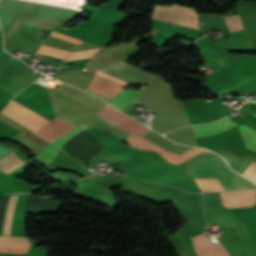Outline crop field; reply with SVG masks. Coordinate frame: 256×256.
I'll list each match as a JSON object with an SVG mask.
<instances>
[{
  "instance_id": "20",
  "label": "crop field",
  "mask_w": 256,
  "mask_h": 256,
  "mask_svg": "<svg viewBox=\"0 0 256 256\" xmlns=\"http://www.w3.org/2000/svg\"><path fill=\"white\" fill-rule=\"evenodd\" d=\"M244 176L256 182V164L252 163L251 166L248 168V170L245 172Z\"/></svg>"
},
{
  "instance_id": "23",
  "label": "crop field",
  "mask_w": 256,
  "mask_h": 256,
  "mask_svg": "<svg viewBox=\"0 0 256 256\" xmlns=\"http://www.w3.org/2000/svg\"><path fill=\"white\" fill-rule=\"evenodd\" d=\"M230 31L240 30L236 19H227Z\"/></svg>"
},
{
  "instance_id": "17",
  "label": "crop field",
  "mask_w": 256,
  "mask_h": 256,
  "mask_svg": "<svg viewBox=\"0 0 256 256\" xmlns=\"http://www.w3.org/2000/svg\"><path fill=\"white\" fill-rule=\"evenodd\" d=\"M60 148L54 146V145H49L46 149H44L39 155L38 157L45 159L49 162H51L53 160V158L55 157V155L57 154V152L59 151Z\"/></svg>"
},
{
  "instance_id": "18",
  "label": "crop field",
  "mask_w": 256,
  "mask_h": 256,
  "mask_svg": "<svg viewBox=\"0 0 256 256\" xmlns=\"http://www.w3.org/2000/svg\"><path fill=\"white\" fill-rule=\"evenodd\" d=\"M85 128H87V127L84 124H81V125L77 126L76 128H74L73 130H71L66 135L58 138L57 140H55L52 143H54V144H56V145L61 147L70 137H72L73 135L79 133L80 131H82Z\"/></svg>"
},
{
  "instance_id": "7",
  "label": "crop field",
  "mask_w": 256,
  "mask_h": 256,
  "mask_svg": "<svg viewBox=\"0 0 256 256\" xmlns=\"http://www.w3.org/2000/svg\"><path fill=\"white\" fill-rule=\"evenodd\" d=\"M192 239L198 256H228V253L219 242L214 243L204 233Z\"/></svg>"
},
{
  "instance_id": "5",
  "label": "crop field",
  "mask_w": 256,
  "mask_h": 256,
  "mask_svg": "<svg viewBox=\"0 0 256 256\" xmlns=\"http://www.w3.org/2000/svg\"><path fill=\"white\" fill-rule=\"evenodd\" d=\"M102 71L128 84H150L156 77L155 75L136 69L128 64L118 68L105 69Z\"/></svg>"
},
{
  "instance_id": "9",
  "label": "crop field",
  "mask_w": 256,
  "mask_h": 256,
  "mask_svg": "<svg viewBox=\"0 0 256 256\" xmlns=\"http://www.w3.org/2000/svg\"><path fill=\"white\" fill-rule=\"evenodd\" d=\"M5 237V236H0ZM0 242L29 243L26 238L7 237L0 238ZM30 244L0 243V252L27 254Z\"/></svg>"
},
{
  "instance_id": "15",
  "label": "crop field",
  "mask_w": 256,
  "mask_h": 256,
  "mask_svg": "<svg viewBox=\"0 0 256 256\" xmlns=\"http://www.w3.org/2000/svg\"><path fill=\"white\" fill-rule=\"evenodd\" d=\"M39 54H44L48 56L58 57L62 59H66V57L71 53L70 51L61 50L53 47H48L42 45L39 52Z\"/></svg>"
},
{
  "instance_id": "11",
  "label": "crop field",
  "mask_w": 256,
  "mask_h": 256,
  "mask_svg": "<svg viewBox=\"0 0 256 256\" xmlns=\"http://www.w3.org/2000/svg\"><path fill=\"white\" fill-rule=\"evenodd\" d=\"M24 162L26 161L18 158L15 151H12L10 154L0 159V170L8 174Z\"/></svg>"
},
{
  "instance_id": "14",
  "label": "crop field",
  "mask_w": 256,
  "mask_h": 256,
  "mask_svg": "<svg viewBox=\"0 0 256 256\" xmlns=\"http://www.w3.org/2000/svg\"><path fill=\"white\" fill-rule=\"evenodd\" d=\"M15 197H16V195H13V196H10V198H9V203H8V208H7V213H6V218H5L2 235H9V233H10Z\"/></svg>"
},
{
  "instance_id": "22",
  "label": "crop field",
  "mask_w": 256,
  "mask_h": 256,
  "mask_svg": "<svg viewBox=\"0 0 256 256\" xmlns=\"http://www.w3.org/2000/svg\"><path fill=\"white\" fill-rule=\"evenodd\" d=\"M224 47L244 46L241 39L222 42Z\"/></svg>"
},
{
  "instance_id": "24",
  "label": "crop field",
  "mask_w": 256,
  "mask_h": 256,
  "mask_svg": "<svg viewBox=\"0 0 256 256\" xmlns=\"http://www.w3.org/2000/svg\"><path fill=\"white\" fill-rule=\"evenodd\" d=\"M0 30H1V28H0Z\"/></svg>"
},
{
  "instance_id": "4",
  "label": "crop field",
  "mask_w": 256,
  "mask_h": 256,
  "mask_svg": "<svg viewBox=\"0 0 256 256\" xmlns=\"http://www.w3.org/2000/svg\"><path fill=\"white\" fill-rule=\"evenodd\" d=\"M126 141L130 145L138 147V148L157 151L167 161L174 162V163L186 160V159H188L190 157H193V156H195L197 154H200V153L209 152L208 150H203V149H199V148L194 147V148L190 149L189 151H187L186 153H184L182 155H179V154L169 152V151L155 145L154 143L144 139L141 136L131 135L130 138Z\"/></svg>"
},
{
  "instance_id": "16",
  "label": "crop field",
  "mask_w": 256,
  "mask_h": 256,
  "mask_svg": "<svg viewBox=\"0 0 256 256\" xmlns=\"http://www.w3.org/2000/svg\"><path fill=\"white\" fill-rule=\"evenodd\" d=\"M124 62L116 61V62H108V63H87L83 70H101L109 67H117L123 65Z\"/></svg>"
},
{
  "instance_id": "21",
  "label": "crop field",
  "mask_w": 256,
  "mask_h": 256,
  "mask_svg": "<svg viewBox=\"0 0 256 256\" xmlns=\"http://www.w3.org/2000/svg\"><path fill=\"white\" fill-rule=\"evenodd\" d=\"M51 35H54V36H57V37H60V38L78 43V44H80L82 42V40H79V39H76V38H73V37H70V36H66V35H63V34H60V33L54 32V31H52Z\"/></svg>"
},
{
  "instance_id": "12",
  "label": "crop field",
  "mask_w": 256,
  "mask_h": 256,
  "mask_svg": "<svg viewBox=\"0 0 256 256\" xmlns=\"http://www.w3.org/2000/svg\"><path fill=\"white\" fill-rule=\"evenodd\" d=\"M239 128L244 139L245 147L256 151V131L245 125H240Z\"/></svg>"
},
{
  "instance_id": "6",
  "label": "crop field",
  "mask_w": 256,
  "mask_h": 256,
  "mask_svg": "<svg viewBox=\"0 0 256 256\" xmlns=\"http://www.w3.org/2000/svg\"><path fill=\"white\" fill-rule=\"evenodd\" d=\"M222 205L227 208L256 206V189L222 192Z\"/></svg>"
},
{
  "instance_id": "1",
  "label": "crop field",
  "mask_w": 256,
  "mask_h": 256,
  "mask_svg": "<svg viewBox=\"0 0 256 256\" xmlns=\"http://www.w3.org/2000/svg\"><path fill=\"white\" fill-rule=\"evenodd\" d=\"M189 167L193 178L218 179L225 190L256 188V185L230 171L225 162L217 157L204 159Z\"/></svg>"
},
{
  "instance_id": "3",
  "label": "crop field",
  "mask_w": 256,
  "mask_h": 256,
  "mask_svg": "<svg viewBox=\"0 0 256 256\" xmlns=\"http://www.w3.org/2000/svg\"><path fill=\"white\" fill-rule=\"evenodd\" d=\"M1 113L26 126L34 132L49 122L42 116L35 114L34 112L12 100Z\"/></svg>"
},
{
  "instance_id": "13",
  "label": "crop field",
  "mask_w": 256,
  "mask_h": 256,
  "mask_svg": "<svg viewBox=\"0 0 256 256\" xmlns=\"http://www.w3.org/2000/svg\"><path fill=\"white\" fill-rule=\"evenodd\" d=\"M202 191H222V187L214 179H195Z\"/></svg>"
},
{
  "instance_id": "2",
  "label": "crop field",
  "mask_w": 256,
  "mask_h": 256,
  "mask_svg": "<svg viewBox=\"0 0 256 256\" xmlns=\"http://www.w3.org/2000/svg\"><path fill=\"white\" fill-rule=\"evenodd\" d=\"M152 18L199 29V20L196 11L175 4L155 6Z\"/></svg>"
},
{
  "instance_id": "19",
  "label": "crop field",
  "mask_w": 256,
  "mask_h": 256,
  "mask_svg": "<svg viewBox=\"0 0 256 256\" xmlns=\"http://www.w3.org/2000/svg\"><path fill=\"white\" fill-rule=\"evenodd\" d=\"M98 49L99 48L73 52L72 55L66 61L92 57Z\"/></svg>"
},
{
  "instance_id": "8",
  "label": "crop field",
  "mask_w": 256,
  "mask_h": 256,
  "mask_svg": "<svg viewBox=\"0 0 256 256\" xmlns=\"http://www.w3.org/2000/svg\"><path fill=\"white\" fill-rule=\"evenodd\" d=\"M235 125L237 124L234 123L228 117H226L222 120H219L210 124L196 125L192 127H193L195 137H203V136L220 134Z\"/></svg>"
},
{
  "instance_id": "10",
  "label": "crop field",
  "mask_w": 256,
  "mask_h": 256,
  "mask_svg": "<svg viewBox=\"0 0 256 256\" xmlns=\"http://www.w3.org/2000/svg\"><path fill=\"white\" fill-rule=\"evenodd\" d=\"M141 91L124 89L108 103L119 110L126 108L131 102L137 103Z\"/></svg>"
}]
</instances>
